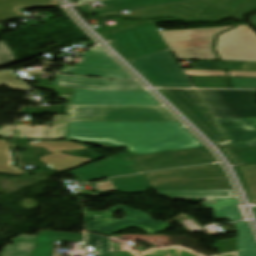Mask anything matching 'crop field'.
Returning <instances> with one entry per match:
<instances>
[{
    "mask_svg": "<svg viewBox=\"0 0 256 256\" xmlns=\"http://www.w3.org/2000/svg\"><path fill=\"white\" fill-rule=\"evenodd\" d=\"M204 191V193H201ZM159 196L170 199L203 198L202 204L215 203V198H233L231 190H195V191H157Z\"/></svg>",
    "mask_w": 256,
    "mask_h": 256,
    "instance_id": "crop-field-21",
    "label": "crop field"
},
{
    "mask_svg": "<svg viewBox=\"0 0 256 256\" xmlns=\"http://www.w3.org/2000/svg\"><path fill=\"white\" fill-rule=\"evenodd\" d=\"M86 252H101L98 256H111L109 239L86 232Z\"/></svg>",
    "mask_w": 256,
    "mask_h": 256,
    "instance_id": "crop-field-28",
    "label": "crop field"
},
{
    "mask_svg": "<svg viewBox=\"0 0 256 256\" xmlns=\"http://www.w3.org/2000/svg\"><path fill=\"white\" fill-rule=\"evenodd\" d=\"M131 62L155 86L177 88L192 87L169 50L131 60Z\"/></svg>",
    "mask_w": 256,
    "mask_h": 256,
    "instance_id": "crop-field-9",
    "label": "crop field"
},
{
    "mask_svg": "<svg viewBox=\"0 0 256 256\" xmlns=\"http://www.w3.org/2000/svg\"><path fill=\"white\" fill-rule=\"evenodd\" d=\"M77 67L123 70L110 57H89V58H85L83 64L77 65Z\"/></svg>",
    "mask_w": 256,
    "mask_h": 256,
    "instance_id": "crop-field-30",
    "label": "crop field"
},
{
    "mask_svg": "<svg viewBox=\"0 0 256 256\" xmlns=\"http://www.w3.org/2000/svg\"><path fill=\"white\" fill-rule=\"evenodd\" d=\"M124 211L125 217L121 220L112 218L117 210ZM93 221L89 222L88 219ZM86 230L108 236L130 226L147 231L153 235L161 232L172 224L163 221L155 222L148 214L117 205L105 212H90L85 210Z\"/></svg>",
    "mask_w": 256,
    "mask_h": 256,
    "instance_id": "crop-field-6",
    "label": "crop field"
},
{
    "mask_svg": "<svg viewBox=\"0 0 256 256\" xmlns=\"http://www.w3.org/2000/svg\"><path fill=\"white\" fill-rule=\"evenodd\" d=\"M251 21L256 26V16L251 17Z\"/></svg>",
    "mask_w": 256,
    "mask_h": 256,
    "instance_id": "crop-field-42",
    "label": "crop field"
},
{
    "mask_svg": "<svg viewBox=\"0 0 256 256\" xmlns=\"http://www.w3.org/2000/svg\"><path fill=\"white\" fill-rule=\"evenodd\" d=\"M235 163L242 165L256 164V148L234 149L233 146L222 147Z\"/></svg>",
    "mask_w": 256,
    "mask_h": 256,
    "instance_id": "crop-field-27",
    "label": "crop field"
},
{
    "mask_svg": "<svg viewBox=\"0 0 256 256\" xmlns=\"http://www.w3.org/2000/svg\"><path fill=\"white\" fill-rule=\"evenodd\" d=\"M243 175L244 182L250 192L251 199L256 204V165L238 167Z\"/></svg>",
    "mask_w": 256,
    "mask_h": 256,
    "instance_id": "crop-field-31",
    "label": "crop field"
},
{
    "mask_svg": "<svg viewBox=\"0 0 256 256\" xmlns=\"http://www.w3.org/2000/svg\"><path fill=\"white\" fill-rule=\"evenodd\" d=\"M105 37L128 61L168 50L152 22L141 23Z\"/></svg>",
    "mask_w": 256,
    "mask_h": 256,
    "instance_id": "crop-field-7",
    "label": "crop field"
},
{
    "mask_svg": "<svg viewBox=\"0 0 256 256\" xmlns=\"http://www.w3.org/2000/svg\"><path fill=\"white\" fill-rule=\"evenodd\" d=\"M203 147L184 127L125 149L134 154H150L167 149L184 150Z\"/></svg>",
    "mask_w": 256,
    "mask_h": 256,
    "instance_id": "crop-field-14",
    "label": "crop field"
},
{
    "mask_svg": "<svg viewBox=\"0 0 256 256\" xmlns=\"http://www.w3.org/2000/svg\"><path fill=\"white\" fill-rule=\"evenodd\" d=\"M193 69L224 70L221 62H199V64L194 65Z\"/></svg>",
    "mask_w": 256,
    "mask_h": 256,
    "instance_id": "crop-field-36",
    "label": "crop field"
},
{
    "mask_svg": "<svg viewBox=\"0 0 256 256\" xmlns=\"http://www.w3.org/2000/svg\"><path fill=\"white\" fill-rule=\"evenodd\" d=\"M111 181L118 192L124 194L147 192L151 188L143 174L113 178Z\"/></svg>",
    "mask_w": 256,
    "mask_h": 256,
    "instance_id": "crop-field-22",
    "label": "crop field"
},
{
    "mask_svg": "<svg viewBox=\"0 0 256 256\" xmlns=\"http://www.w3.org/2000/svg\"><path fill=\"white\" fill-rule=\"evenodd\" d=\"M182 0H107L102 1L105 7L103 8H95L91 9L88 4L77 6L78 9L87 14H100V13H108L126 9H135L153 5H159L164 3L176 2Z\"/></svg>",
    "mask_w": 256,
    "mask_h": 256,
    "instance_id": "crop-field-19",
    "label": "crop field"
},
{
    "mask_svg": "<svg viewBox=\"0 0 256 256\" xmlns=\"http://www.w3.org/2000/svg\"><path fill=\"white\" fill-rule=\"evenodd\" d=\"M231 27L159 31L177 60H219L212 50L215 35ZM215 50L223 61H256V35L238 26L217 39Z\"/></svg>",
    "mask_w": 256,
    "mask_h": 256,
    "instance_id": "crop-field-1",
    "label": "crop field"
},
{
    "mask_svg": "<svg viewBox=\"0 0 256 256\" xmlns=\"http://www.w3.org/2000/svg\"><path fill=\"white\" fill-rule=\"evenodd\" d=\"M72 105H160L148 92L75 89Z\"/></svg>",
    "mask_w": 256,
    "mask_h": 256,
    "instance_id": "crop-field-12",
    "label": "crop field"
},
{
    "mask_svg": "<svg viewBox=\"0 0 256 256\" xmlns=\"http://www.w3.org/2000/svg\"><path fill=\"white\" fill-rule=\"evenodd\" d=\"M70 122H174L162 106H67Z\"/></svg>",
    "mask_w": 256,
    "mask_h": 256,
    "instance_id": "crop-field-5",
    "label": "crop field"
},
{
    "mask_svg": "<svg viewBox=\"0 0 256 256\" xmlns=\"http://www.w3.org/2000/svg\"><path fill=\"white\" fill-rule=\"evenodd\" d=\"M68 115H56L53 121H64V123H53L48 129H40V126L15 125L14 139H61L64 138Z\"/></svg>",
    "mask_w": 256,
    "mask_h": 256,
    "instance_id": "crop-field-18",
    "label": "crop field"
},
{
    "mask_svg": "<svg viewBox=\"0 0 256 256\" xmlns=\"http://www.w3.org/2000/svg\"><path fill=\"white\" fill-rule=\"evenodd\" d=\"M16 61L15 56L8 49L4 42H0V66Z\"/></svg>",
    "mask_w": 256,
    "mask_h": 256,
    "instance_id": "crop-field-33",
    "label": "crop field"
},
{
    "mask_svg": "<svg viewBox=\"0 0 256 256\" xmlns=\"http://www.w3.org/2000/svg\"><path fill=\"white\" fill-rule=\"evenodd\" d=\"M234 148L256 147V119L216 120Z\"/></svg>",
    "mask_w": 256,
    "mask_h": 256,
    "instance_id": "crop-field-17",
    "label": "crop field"
},
{
    "mask_svg": "<svg viewBox=\"0 0 256 256\" xmlns=\"http://www.w3.org/2000/svg\"><path fill=\"white\" fill-rule=\"evenodd\" d=\"M140 22H144V21H130V22L121 24L120 26H117V27L98 30V32L103 34V33H107V32H110V31H114V30H118V29L130 26V25H134V24H137V23H140ZM154 22H177V21H173V20H170V19H160V20H154Z\"/></svg>",
    "mask_w": 256,
    "mask_h": 256,
    "instance_id": "crop-field-35",
    "label": "crop field"
},
{
    "mask_svg": "<svg viewBox=\"0 0 256 256\" xmlns=\"http://www.w3.org/2000/svg\"><path fill=\"white\" fill-rule=\"evenodd\" d=\"M12 158L7 141L0 140V172L11 174H23L24 171L11 165Z\"/></svg>",
    "mask_w": 256,
    "mask_h": 256,
    "instance_id": "crop-field-29",
    "label": "crop field"
},
{
    "mask_svg": "<svg viewBox=\"0 0 256 256\" xmlns=\"http://www.w3.org/2000/svg\"><path fill=\"white\" fill-rule=\"evenodd\" d=\"M61 73L85 75V76H95V77H105V78L133 79L125 71H117V70L65 67V68H63Z\"/></svg>",
    "mask_w": 256,
    "mask_h": 256,
    "instance_id": "crop-field-25",
    "label": "crop field"
},
{
    "mask_svg": "<svg viewBox=\"0 0 256 256\" xmlns=\"http://www.w3.org/2000/svg\"><path fill=\"white\" fill-rule=\"evenodd\" d=\"M236 199H216V204L204 205L206 208H214L215 218H227L240 220L241 215L237 209Z\"/></svg>",
    "mask_w": 256,
    "mask_h": 256,
    "instance_id": "crop-field-24",
    "label": "crop field"
},
{
    "mask_svg": "<svg viewBox=\"0 0 256 256\" xmlns=\"http://www.w3.org/2000/svg\"><path fill=\"white\" fill-rule=\"evenodd\" d=\"M154 190L230 189L218 164L144 174Z\"/></svg>",
    "mask_w": 256,
    "mask_h": 256,
    "instance_id": "crop-field-4",
    "label": "crop field"
},
{
    "mask_svg": "<svg viewBox=\"0 0 256 256\" xmlns=\"http://www.w3.org/2000/svg\"><path fill=\"white\" fill-rule=\"evenodd\" d=\"M51 85L90 90L144 91L134 81H106L68 76H57Z\"/></svg>",
    "mask_w": 256,
    "mask_h": 256,
    "instance_id": "crop-field-16",
    "label": "crop field"
},
{
    "mask_svg": "<svg viewBox=\"0 0 256 256\" xmlns=\"http://www.w3.org/2000/svg\"><path fill=\"white\" fill-rule=\"evenodd\" d=\"M90 54L83 55L81 57H88V56H108L105 52H103L99 47L92 49Z\"/></svg>",
    "mask_w": 256,
    "mask_h": 256,
    "instance_id": "crop-field-39",
    "label": "crop field"
},
{
    "mask_svg": "<svg viewBox=\"0 0 256 256\" xmlns=\"http://www.w3.org/2000/svg\"><path fill=\"white\" fill-rule=\"evenodd\" d=\"M6 85L11 89H20L27 90V86L17 80L14 76H12L9 72L0 73V86Z\"/></svg>",
    "mask_w": 256,
    "mask_h": 256,
    "instance_id": "crop-field-32",
    "label": "crop field"
},
{
    "mask_svg": "<svg viewBox=\"0 0 256 256\" xmlns=\"http://www.w3.org/2000/svg\"><path fill=\"white\" fill-rule=\"evenodd\" d=\"M96 1H102V0H78L77 5L82 4V3H87V2H96Z\"/></svg>",
    "mask_w": 256,
    "mask_h": 256,
    "instance_id": "crop-field-41",
    "label": "crop field"
},
{
    "mask_svg": "<svg viewBox=\"0 0 256 256\" xmlns=\"http://www.w3.org/2000/svg\"><path fill=\"white\" fill-rule=\"evenodd\" d=\"M238 230L237 248L239 256H256V243L246 222L234 223Z\"/></svg>",
    "mask_w": 256,
    "mask_h": 256,
    "instance_id": "crop-field-23",
    "label": "crop field"
},
{
    "mask_svg": "<svg viewBox=\"0 0 256 256\" xmlns=\"http://www.w3.org/2000/svg\"><path fill=\"white\" fill-rule=\"evenodd\" d=\"M129 156L140 172L217 161L211 152L205 148L179 152L168 151L144 156L129 154Z\"/></svg>",
    "mask_w": 256,
    "mask_h": 256,
    "instance_id": "crop-field-11",
    "label": "crop field"
},
{
    "mask_svg": "<svg viewBox=\"0 0 256 256\" xmlns=\"http://www.w3.org/2000/svg\"><path fill=\"white\" fill-rule=\"evenodd\" d=\"M92 186L95 187L97 190H99L101 193L117 191L114 184L110 180L109 182L97 183V184H93ZM101 193H98V194H101ZM98 194H92L90 195V197L97 196Z\"/></svg>",
    "mask_w": 256,
    "mask_h": 256,
    "instance_id": "crop-field-34",
    "label": "crop field"
},
{
    "mask_svg": "<svg viewBox=\"0 0 256 256\" xmlns=\"http://www.w3.org/2000/svg\"><path fill=\"white\" fill-rule=\"evenodd\" d=\"M139 170L127 153H120L68 172L85 181L138 173Z\"/></svg>",
    "mask_w": 256,
    "mask_h": 256,
    "instance_id": "crop-field-13",
    "label": "crop field"
},
{
    "mask_svg": "<svg viewBox=\"0 0 256 256\" xmlns=\"http://www.w3.org/2000/svg\"><path fill=\"white\" fill-rule=\"evenodd\" d=\"M35 239V236L23 235L22 237L12 241L14 243L13 245H5L0 256H30ZM20 245H28V247ZM20 251H26V253Z\"/></svg>",
    "mask_w": 256,
    "mask_h": 256,
    "instance_id": "crop-field-26",
    "label": "crop field"
},
{
    "mask_svg": "<svg viewBox=\"0 0 256 256\" xmlns=\"http://www.w3.org/2000/svg\"><path fill=\"white\" fill-rule=\"evenodd\" d=\"M29 144L33 147H44L46 150L52 153V155L42 157L39 160L57 171L72 169L74 167L93 161V159L70 156L61 152L86 149V147L79 144L67 141H37L31 142Z\"/></svg>",
    "mask_w": 256,
    "mask_h": 256,
    "instance_id": "crop-field-15",
    "label": "crop field"
},
{
    "mask_svg": "<svg viewBox=\"0 0 256 256\" xmlns=\"http://www.w3.org/2000/svg\"><path fill=\"white\" fill-rule=\"evenodd\" d=\"M12 126H5L0 130V138H11Z\"/></svg>",
    "mask_w": 256,
    "mask_h": 256,
    "instance_id": "crop-field-38",
    "label": "crop field"
},
{
    "mask_svg": "<svg viewBox=\"0 0 256 256\" xmlns=\"http://www.w3.org/2000/svg\"><path fill=\"white\" fill-rule=\"evenodd\" d=\"M227 70H241L242 63L223 62Z\"/></svg>",
    "mask_w": 256,
    "mask_h": 256,
    "instance_id": "crop-field-37",
    "label": "crop field"
},
{
    "mask_svg": "<svg viewBox=\"0 0 256 256\" xmlns=\"http://www.w3.org/2000/svg\"><path fill=\"white\" fill-rule=\"evenodd\" d=\"M174 123H69L67 138L127 148L180 128Z\"/></svg>",
    "mask_w": 256,
    "mask_h": 256,
    "instance_id": "crop-field-3",
    "label": "crop field"
},
{
    "mask_svg": "<svg viewBox=\"0 0 256 256\" xmlns=\"http://www.w3.org/2000/svg\"><path fill=\"white\" fill-rule=\"evenodd\" d=\"M256 210V209H255Z\"/></svg>",
    "mask_w": 256,
    "mask_h": 256,
    "instance_id": "crop-field-43",
    "label": "crop field"
},
{
    "mask_svg": "<svg viewBox=\"0 0 256 256\" xmlns=\"http://www.w3.org/2000/svg\"><path fill=\"white\" fill-rule=\"evenodd\" d=\"M256 10V0H191L117 12L102 16H121L126 19L173 17L183 21H220L225 17L243 21L244 16Z\"/></svg>",
    "mask_w": 256,
    "mask_h": 256,
    "instance_id": "crop-field-2",
    "label": "crop field"
},
{
    "mask_svg": "<svg viewBox=\"0 0 256 256\" xmlns=\"http://www.w3.org/2000/svg\"><path fill=\"white\" fill-rule=\"evenodd\" d=\"M215 119L255 118V91L198 90Z\"/></svg>",
    "mask_w": 256,
    "mask_h": 256,
    "instance_id": "crop-field-8",
    "label": "crop field"
},
{
    "mask_svg": "<svg viewBox=\"0 0 256 256\" xmlns=\"http://www.w3.org/2000/svg\"><path fill=\"white\" fill-rule=\"evenodd\" d=\"M242 70H254V71H256V63H243Z\"/></svg>",
    "mask_w": 256,
    "mask_h": 256,
    "instance_id": "crop-field-40",
    "label": "crop field"
},
{
    "mask_svg": "<svg viewBox=\"0 0 256 256\" xmlns=\"http://www.w3.org/2000/svg\"><path fill=\"white\" fill-rule=\"evenodd\" d=\"M161 92L185 112L215 142L228 141L226 135L215 120L210 117L194 90L163 89Z\"/></svg>",
    "mask_w": 256,
    "mask_h": 256,
    "instance_id": "crop-field-10",
    "label": "crop field"
},
{
    "mask_svg": "<svg viewBox=\"0 0 256 256\" xmlns=\"http://www.w3.org/2000/svg\"><path fill=\"white\" fill-rule=\"evenodd\" d=\"M54 240L83 242V234L43 231L37 236L31 256H52Z\"/></svg>",
    "mask_w": 256,
    "mask_h": 256,
    "instance_id": "crop-field-20",
    "label": "crop field"
}]
</instances>
